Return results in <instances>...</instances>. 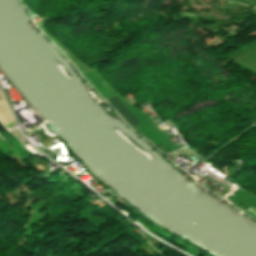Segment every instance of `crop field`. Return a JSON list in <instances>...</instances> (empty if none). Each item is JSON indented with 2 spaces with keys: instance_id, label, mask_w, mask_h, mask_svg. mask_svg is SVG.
<instances>
[{
  "instance_id": "2",
  "label": "crop field",
  "mask_w": 256,
  "mask_h": 256,
  "mask_svg": "<svg viewBox=\"0 0 256 256\" xmlns=\"http://www.w3.org/2000/svg\"><path fill=\"white\" fill-rule=\"evenodd\" d=\"M112 106L120 113V115L128 122V124L132 127L138 124L134 118L126 111V109L118 102V100L114 97L108 100Z\"/></svg>"
},
{
  "instance_id": "1",
  "label": "crop field",
  "mask_w": 256,
  "mask_h": 256,
  "mask_svg": "<svg viewBox=\"0 0 256 256\" xmlns=\"http://www.w3.org/2000/svg\"><path fill=\"white\" fill-rule=\"evenodd\" d=\"M13 117L10 113V110L7 106V103L0 91V123L2 125L13 123Z\"/></svg>"
}]
</instances>
